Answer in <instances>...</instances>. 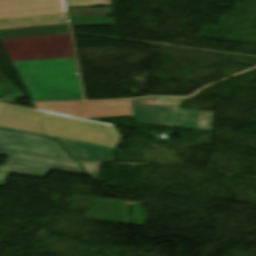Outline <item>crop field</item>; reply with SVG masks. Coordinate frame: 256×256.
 <instances>
[{"mask_svg":"<svg viewBox=\"0 0 256 256\" xmlns=\"http://www.w3.org/2000/svg\"><path fill=\"white\" fill-rule=\"evenodd\" d=\"M2 43L33 101L83 100L69 34Z\"/></svg>","mask_w":256,"mask_h":256,"instance_id":"obj_1","label":"crop field"},{"mask_svg":"<svg viewBox=\"0 0 256 256\" xmlns=\"http://www.w3.org/2000/svg\"><path fill=\"white\" fill-rule=\"evenodd\" d=\"M183 99L132 100L137 123L211 130L214 113L176 109Z\"/></svg>","mask_w":256,"mask_h":256,"instance_id":"obj_2","label":"crop field"},{"mask_svg":"<svg viewBox=\"0 0 256 256\" xmlns=\"http://www.w3.org/2000/svg\"><path fill=\"white\" fill-rule=\"evenodd\" d=\"M16 153L75 161L54 139L0 129V155Z\"/></svg>","mask_w":256,"mask_h":256,"instance_id":"obj_3","label":"crop field"},{"mask_svg":"<svg viewBox=\"0 0 256 256\" xmlns=\"http://www.w3.org/2000/svg\"><path fill=\"white\" fill-rule=\"evenodd\" d=\"M51 170L84 174L78 163L19 155L0 167V186L5 185L9 173L44 178Z\"/></svg>","mask_w":256,"mask_h":256,"instance_id":"obj_4","label":"crop field"},{"mask_svg":"<svg viewBox=\"0 0 256 256\" xmlns=\"http://www.w3.org/2000/svg\"><path fill=\"white\" fill-rule=\"evenodd\" d=\"M36 109L82 118H95L92 111L133 108L131 101L37 103Z\"/></svg>","mask_w":256,"mask_h":256,"instance_id":"obj_5","label":"crop field"},{"mask_svg":"<svg viewBox=\"0 0 256 256\" xmlns=\"http://www.w3.org/2000/svg\"><path fill=\"white\" fill-rule=\"evenodd\" d=\"M69 9L73 26L116 25L113 18L106 16L113 14L112 7Z\"/></svg>","mask_w":256,"mask_h":256,"instance_id":"obj_6","label":"crop field"},{"mask_svg":"<svg viewBox=\"0 0 256 256\" xmlns=\"http://www.w3.org/2000/svg\"><path fill=\"white\" fill-rule=\"evenodd\" d=\"M79 161L112 162L111 149L59 139Z\"/></svg>","mask_w":256,"mask_h":256,"instance_id":"obj_7","label":"crop field"},{"mask_svg":"<svg viewBox=\"0 0 256 256\" xmlns=\"http://www.w3.org/2000/svg\"><path fill=\"white\" fill-rule=\"evenodd\" d=\"M96 118L134 116L133 109L94 112Z\"/></svg>","mask_w":256,"mask_h":256,"instance_id":"obj_8","label":"crop field"},{"mask_svg":"<svg viewBox=\"0 0 256 256\" xmlns=\"http://www.w3.org/2000/svg\"><path fill=\"white\" fill-rule=\"evenodd\" d=\"M68 5L69 7L92 5L110 6L112 5V2L111 0H68Z\"/></svg>","mask_w":256,"mask_h":256,"instance_id":"obj_9","label":"crop field"},{"mask_svg":"<svg viewBox=\"0 0 256 256\" xmlns=\"http://www.w3.org/2000/svg\"><path fill=\"white\" fill-rule=\"evenodd\" d=\"M86 172L90 174L94 179H99L101 164L82 163Z\"/></svg>","mask_w":256,"mask_h":256,"instance_id":"obj_10","label":"crop field"}]
</instances>
